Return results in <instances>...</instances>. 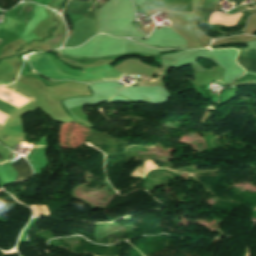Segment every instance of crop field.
<instances>
[{
  "instance_id": "crop-field-1",
  "label": "crop field",
  "mask_w": 256,
  "mask_h": 256,
  "mask_svg": "<svg viewBox=\"0 0 256 256\" xmlns=\"http://www.w3.org/2000/svg\"><path fill=\"white\" fill-rule=\"evenodd\" d=\"M239 55L256 57L255 49H245L239 51ZM238 56V63L244 67L246 71L256 73V58Z\"/></svg>"
},
{
  "instance_id": "crop-field-2",
  "label": "crop field",
  "mask_w": 256,
  "mask_h": 256,
  "mask_svg": "<svg viewBox=\"0 0 256 256\" xmlns=\"http://www.w3.org/2000/svg\"><path fill=\"white\" fill-rule=\"evenodd\" d=\"M11 165L13 166V168L18 173V176H17L15 182L23 181V180L27 179L32 174L31 167L26 162V160L22 157L20 159L16 160Z\"/></svg>"
},
{
  "instance_id": "crop-field-3",
  "label": "crop field",
  "mask_w": 256,
  "mask_h": 256,
  "mask_svg": "<svg viewBox=\"0 0 256 256\" xmlns=\"http://www.w3.org/2000/svg\"><path fill=\"white\" fill-rule=\"evenodd\" d=\"M20 106L0 97V110L10 114L16 109H18Z\"/></svg>"
},
{
  "instance_id": "crop-field-4",
  "label": "crop field",
  "mask_w": 256,
  "mask_h": 256,
  "mask_svg": "<svg viewBox=\"0 0 256 256\" xmlns=\"http://www.w3.org/2000/svg\"><path fill=\"white\" fill-rule=\"evenodd\" d=\"M30 207L32 208V210H33V212H34V216H37L36 215V210H35V205H30ZM43 207L45 208V210H46V212H47V215H50L49 214V211H48V209H47V207H46V205H43Z\"/></svg>"
},
{
  "instance_id": "crop-field-5",
  "label": "crop field",
  "mask_w": 256,
  "mask_h": 256,
  "mask_svg": "<svg viewBox=\"0 0 256 256\" xmlns=\"http://www.w3.org/2000/svg\"><path fill=\"white\" fill-rule=\"evenodd\" d=\"M132 176H143V175L141 173H139L137 170H135V172H133Z\"/></svg>"
},
{
  "instance_id": "crop-field-6",
  "label": "crop field",
  "mask_w": 256,
  "mask_h": 256,
  "mask_svg": "<svg viewBox=\"0 0 256 256\" xmlns=\"http://www.w3.org/2000/svg\"><path fill=\"white\" fill-rule=\"evenodd\" d=\"M243 0H233L234 6L239 5Z\"/></svg>"
},
{
  "instance_id": "crop-field-7",
  "label": "crop field",
  "mask_w": 256,
  "mask_h": 256,
  "mask_svg": "<svg viewBox=\"0 0 256 256\" xmlns=\"http://www.w3.org/2000/svg\"><path fill=\"white\" fill-rule=\"evenodd\" d=\"M246 256H249V249L247 248V254H246Z\"/></svg>"
},
{
  "instance_id": "crop-field-8",
  "label": "crop field",
  "mask_w": 256,
  "mask_h": 256,
  "mask_svg": "<svg viewBox=\"0 0 256 256\" xmlns=\"http://www.w3.org/2000/svg\"><path fill=\"white\" fill-rule=\"evenodd\" d=\"M0 159H2L1 155H0Z\"/></svg>"
},
{
  "instance_id": "crop-field-9",
  "label": "crop field",
  "mask_w": 256,
  "mask_h": 256,
  "mask_svg": "<svg viewBox=\"0 0 256 256\" xmlns=\"http://www.w3.org/2000/svg\"><path fill=\"white\" fill-rule=\"evenodd\" d=\"M253 215H256V214H253Z\"/></svg>"
}]
</instances>
